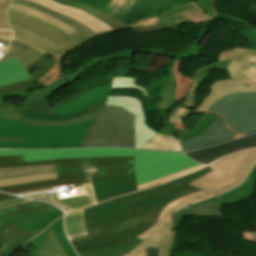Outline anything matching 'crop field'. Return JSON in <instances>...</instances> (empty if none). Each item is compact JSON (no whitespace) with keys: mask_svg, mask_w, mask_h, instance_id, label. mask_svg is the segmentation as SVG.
<instances>
[{"mask_svg":"<svg viewBox=\"0 0 256 256\" xmlns=\"http://www.w3.org/2000/svg\"><path fill=\"white\" fill-rule=\"evenodd\" d=\"M10 0H0V5L9 2Z\"/></svg>","mask_w":256,"mask_h":256,"instance_id":"obj_56","label":"crop field"},{"mask_svg":"<svg viewBox=\"0 0 256 256\" xmlns=\"http://www.w3.org/2000/svg\"><path fill=\"white\" fill-rule=\"evenodd\" d=\"M42 4L48 8L61 12L95 30L99 35L113 31L108 25L98 20L97 18L77 9L70 8L66 5H61L53 0H30Z\"/></svg>","mask_w":256,"mask_h":256,"instance_id":"obj_19","label":"crop field"},{"mask_svg":"<svg viewBox=\"0 0 256 256\" xmlns=\"http://www.w3.org/2000/svg\"><path fill=\"white\" fill-rule=\"evenodd\" d=\"M11 44H13V45H15V46H17V47H19V48L25 49V50H27V51H28L29 49H31V47H29V46H27V45H24V44H21V43H19V42L13 41V40H12Z\"/></svg>","mask_w":256,"mask_h":256,"instance_id":"obj_53","label":"crop field"},{"mask_svg":"<svg viewBox=\"0 0 256 256\" xmlns=\"http://www.w3.org/2000/svg\"><path fill=\"white\" fill-rule=\"evenodd\" d=\"M254 146H256V133L245 138L185 154L195 161L209 164L220 157Z\"/></svg>","mask_w":256,"mask_h":256,"instance_id":"obj_16","label":"crop field"},{"mask_svg":"<svg viewBox=\"0 0 256 256\" xmlns=\"http://www.w3.org/2000/svg\"><path fill=\"white\" fill-rule=\"evenodd\" d=\"M31 256H67L50 229L45 241Z\"/></svg>","mask_w":256,"mask_h":256,"instance_id":"obj_32","label":"crop field"},{"mask_svg":"<svg viewBox=\"0 0 256 256\" xmlns=\"http://www.w3.org/2000/svg\"><path fill=\"white\" fill-rule=\"evenodd\" d=\"M51 227L53 228V231L56 235V237L58 238L59 242L61 243L63 249L65 250V252L68 254V256H76L75 252L73 251V249L71 248L64 230H63V216L61 218H59L57 221H55Z\"/></svg>","mask_w":256,"mask_h":256,"instance_id":"obj_39","label":"crop field"},{"mask_svg":"<svg viewBox=\"0 0 256 256\" xmlns=\"http://www.w3.org/2000/svg\"><path fill=\"white\" fill-rule=\"evenodd\" d=\"M237 137L240 136L230 131L226 127L222 116L218 115L204 134L195 138L181 141V145L183 150H194Z\"/></svg>","mask_w":256,"mask_h":256,"instance_id":"obj_17","label":"crop field"},{"mask_svg":"<svg viewBox=\"0 0 256 256\" xmlns=\"http://www.w3.org/2000/svg\"><path fill=\"white\" fill-rule=\"evenodd\" d=\"M58 1L62 4H66L70 7L78 8L81 9L108 24L114 31L119 30V29H125V28H130L128 25L123 23L122 21L104 13L101 12L95 8H92L86 4L82 3H77V2H72V1H66V0H55Z\"/></svg>","mask_w":256,"mask_h":256,"instance_id":"obj_28","label":"crop field"},{"mask_svg":"<svg viewBox=\"0 0 256 256\" xmlns=\"http://www.w3.org/2000/svg\"><path fill=\"white\" fill-rule=\"evenodd\" d=\"M213 170L209 166L182 178L139 191V205L123 222L100 234L70 239L79 256L110 249L130 241L156 224L161 210L171 201L201 189L187 185Z\"/></svg>","mask_w":256,"mask_h":256,"instance_id":"obj_1","label":"crop field"},{"mask_svg":"<svg viewBox=\"0 0 256 256\" xmlns=\"http://www.w3.org/2000/svg\"><path fill=\"white\" fill-rule=\"evenodd\" d=\"M11 3H15V4H19L22 6H26L35 10H38L42 13L48 14L56 19H58L59 21L73 27L76 30H79L81 33L85 34L88 38H92L94 36H97L98 34L92 30H90L89 28H87L86 26L78 23L77 21L68 18L67 16L58 13L56 11H53L51 9L45 8L37 3H33V2H29V1H24V0H12Z\"/></svg>","mask_w":256,"mask_h":256,"instance_id":"obj_22","label":"crop field"},{"mask_svg":"<svg viewBox=\"0 0 256 256\" xmlns=\"http://www.w3.org/2000/svg\"><path fill=\"white\" fill-rule=\"evenodd\" d=\"M8 18L13 29L12 39L33 48L27 52L10 45L0 62L15 57L26 68L47 52L61 60L67 52L90 40L78 31L70 36L48 23L18 12L9 10Z\"/></svg>","mask_w":256,"mask_h":256,"instance_id":"obj_3","label":"crop field"},{"mask_svg":"<svg viewBox=\"0 0 256 256\" xmlns=\"http://www.w3.org/2000/svg\"><path fill=\"white\" fill-rule=\"evenodd\" d=\"M138 205L137 192L84 210L88 233L103 231L123 221Z\"/></svg>","mask_w":256,"mask_h":256,"instance_id":"obj_9","label":"crop field"},{"mask_svg":"<svg viewBox=\"0 0 256 256\" xmlns=\"http://www.w3.org/2000/svg\"><path fill=\"white\" fill-rule=\"evenodd\" d=\"M53 171H56L54 164L26 166L17 168H0V179L47 173Z\"/></svg>","mask_w":256,"mask_h":256,"instance_id":"obj_29","label":"crop field"},{"mask_svg":"<svg viewBox=\"0 0 256 256\" xmlns=\"http://www.w3.org/2000/svg\"><path fill=\"white\" fill-rule=\"evenodd\" d=\"M59 61L60 60H58L55 57L52 58L50 61L46 57L42 56L31 64L39 69L30 75L32 79L20 83L1 86L0 118L23 121V110L25 107L15 108L14 106L5 105V103L3 102L4 98L6 96L17 95L19 97H22L24 101L27 103L30 95L33 93L28 92L27 90L35 87L33 82L37 81L38 79L46 75Z\"/></svg>","mask_w":256,"mask_h":256,"instance_id":"obj_11","label":"crop field"},{"mask_svg":"<svg viewBox=\"0 0 256 256\" xmlns=\"http://www.w3.org/2000/svg\"><path fill=\"white\" fill-rule=\"evenodd\" d=\"M196 1H197L198 5L202 8V10H203L205 13H207L208 15L211 16V14H210V12H209V10H208V8H207V5H206L205 0H196Z\"/></svg>","mask_w":256,"mask_h":256,"instance_id":"obj_52","label":"crop field"},{"mask_svg":"<svg viewBox=\"0 0 256 256\" xmlns=\"http://www.w3.org/2000/svg\"><path fill=\"white\" fill-rule=\"evenodd\" d=\"M63 215L60 210L33 213L29 215L0 218V224H14L19 231L43 230L55 219Z\"/></svg>","mask_w":256,"mask_h":256,"instance_id":"obj_18","label":"crop field"},{"mask_svg":"<svg viewBox=\"0 0 256 256\" xmlns=\"http://www.w3.org/2000/svg\"><path fill=\"white\" fill-rule=\"evenodd\" d=\"M214 195L216 194L202 190L171 202L161 212L157 224L137 236L143 241L132 252L124 256H140L149 245L160 248L171 227L172 215L176 209Z\"/></svg>","mask_w":256,"mask_h":256,"instance_id":"obj_10","label":"crop field"},{"mask_svg":"<svg viewBox=\"0 0 256 256\" xmlns=\"http://www.w3.org/2000/svg\"><path fill=\"white\" fill-rule=\"evenodd\" d=\"M0 141H22V139L0 138Z\"/></svg>","mask_w":256,"mask_h":256,"instance_id":"obj_55","label":"crop field"},{"mask_svg":"<svg viewBox=\"0 0 256 256\" xmlns=\"http://www.w3.org/2000/svg\"><path fill=\"white\" fill-rule=\"evenodd\" d=\"M96 203L137 191L134 174L105 179H91Z\"/></svg>","mask_w":256,"mask_h":256,"instance_id":"obj_14","label":"crop field"},{"mask_svg":"<svg viewBox=\"0 0 256 256\" xmlns=\"http://www.w3.org/2000/svg\"><path fill=\"white\" fill-rule=\"evenodd\" d=\"M216 114L208 113L205 118L200 122V124L188 135L180 138L181 140H185L191 137L198 136L205 132V130L209 127L212 121L216 118Z\"/></svg>","mask_w":256,"mask_h":256,"instance_id":"obj_42","label":"crop field"},{"mask_svg":"<svg viewBox=\"0 0 256 256\" xmlns=\"http://www.w3.org/2000/svg\"><path fill=\"white\" fill-rule=\"evenodd\" d=\"M141 256H146V252H144Z\"/></svg>","mask_w":256,"mask_h":256,"instance_id":"obj_58","label":"crop field"},{"mask_svg":"<svg viewBox=\"0 0 256 256\" xmlns=\"http://www.w3.org/2000/svg\"><path fill=\"white\" fill-rule=\"evenodd\" d=\"M219 16H225V15H219ZM225 17H229L231 19H235V20H238L240 22H245V21H242L240 19H237V18H234V17H231V16H225ZM246 24L250 25V30L246 31L245 34H240V35H243L245 36L249 42L253 43L255 46L252 47L251 49L255 50L256 51V28L254 26H252L251 24L245 22Z\"/></svg>","mask_w":256,"mask_h":256,"instance_id":"obj_46","label":"crop field"},{"mask_svg":"<svg viewBox=\"0 0 256 256\" xmlns=\"http://www.w3.org/2000/svg\"><path fill=\"white\" fill-rule=\"evenodd\" d=\"M99 113L100 112L92 113V114L84 115V116H81V117H77V118H74V119H71V120L61 121V122H47V121H38V120L24 119V124H28V125L60 126V125L73 124V123H78V122H82V121H86V120L97 118Z\"/></svg>","mask_w":256,"mask_h":256,"instance_id":"obj_40","label":"crop field"},{"mask_svg":"<svg viewBox=\"0 0 256 256\" xmlns=\"http://www.w3.org/2000/svg\"><path fill=\"white\" fill-rule=\"evenodd\" d=\"M105 105L121 106L135 115V147L142 148L157 135L145 125V115L139 100L124 96H108Z\"/></svg>","mask_w":256,"mask_h":256,"instance_id":"obj_13","label":"crop field"},{"mask_svg":"<svg viewBox=\"0 0 256 256\" xmlns=\"http://www.w3.org/2000/svg\"><path fill=\"white\" fill-rule=\"evenodd\" d=\"M256 67V66H255Z\"/></svg>","mask_w":256,"mask_h":256,"instance_id":"obj_59","label":"crop field"},{"mask_svg":"<svg viewBox=\"0 0 256 256\" xmlns=\"http://www.w3.org/2000/svg\"><path fill=\"white\" fill-rule=\"evenodd\" d=\"M10 10H14V11H18V12H22V13H25V14H28L30 16H33L35 18H38L40 20H43L45 22H48L56 27H58L59 29L65 31L66 33L68 34H72L73 32H75L74 29H72L71 27L67 26V25H64L62 24L61 22L47 16V15H44V14H41L35 10H32V9H29V8H25V7H22V6H18V5H15V4H11L10 5Z\"/></svg>","mask_w":256,"mask_h":256,"instance_id":"obj_35","label":"crop field"},{"mask_svg":"<svg viewBox=\"0 0 256 256\" xmlns=\"http://www.w3.org/2000/svg\"><path fill=\"white\" fill-rule=\"evenodd\" d=\"M212 91L195 112L203 113L222 97L235 92H256V76L247 80L218 81L209 87Z\"/></svg>","mask_w":256,"mask_h":256,"instance_id":"obj_15","label":"crop field"},{"mask_svg":"<svg viewBox=\"0 0 256 256\" xmlns=\"http://www.w3.org/2000/svg\"><path fill=\"white\" fill-rule=\"evenodd\" d=\"M206 29H208V28L203 29V32H202V33L199 35V37L193 42V44H192L193 46H191L187 52L178 53V54H174V53H172V52H166L164 55H169V56L177 57V58H180V59L197 55V52H200V50H201V47H197V46H198L199 43L201 42L202 37H203V35H204Z\"/></svg>","mask_w":256,"mask_h":256,"instance_id":"obj_43","label":"crop field"},{"mask_svg":"<svg viewBox=\"0 0 256 256\" xmlns=\"http://www.w3.org/2000/svg\"><path fill=\"white\" fill-rule=\"evenodd\" d=\"M134 157H102L55 159L58 179L0 188L14 193L60 185L90 182V178H105L134 173Z\"/></svg>","mask_w":256,"mask_h":256,"instance_id":"obj_4","label":"crop field"},{"mask_svg":"<svg viewBox=\"0 0 256 256\" xmlns=\"http://www.w3.org/2000/svg\"><path fill=\"white\" fill-rule=\"evenodd\" d=\"M115 88H137L143 92L145 98L147 97L146 91L141 86H138L135 83V79L132 78H113L112 89Z\"/></svg>","mask_w":256,"mask_h":256,"instance_id":"obj_44","label":"crop field"},{"mask_svg":"<svg viewBox=\"0 0 256 256\" xmlns=\"http://www.w3.org/2000/svg\"><path fill=\"white\" fill-rule=\"evenodd\" d=\"M204 166L205 165L201 164L199 166H196L194 168L188 169L186 171H183V172H180V173H177V174H174V175L162 178V179H158V180H155V181H152V182H148V183L142 184V185L138 186L137 188L139 190V189L147 188V187L154 186V185H157V184H160V183H164V182L170 181V180H172L174 178H177V177H179L181 175H184V174H187L189 172L195 171V170H197L199 168H202Z\"/></svg>","mask_w":256,"mask_h":256,"instance_id":"obj_45","label":"crop field"},{"mask_svg":"<svg viewBox=\"0 0 256 256\" xmlns=\"http://www.w3.org/2000/svg\"><path fill=\"white\" fill-rule=\"evenodd\" d=\"M31 201H32V200H27V199H23V198H18V199H14V200H9V201L0 202V209H1V208L8 207V206H15V205H19V204L31 202Z\"/></svg>","mask_w":256,"mask_h":256,"instance_id":"obj_48","label":"crop field"},{"mask_svg":"<svg viewBox=\"0 0 256 256\" xmlns=\"http://www.w3.org/2000/svg\"><path fill=\"white\" fill-rule=\"evenodd\" d=\"M216 197L210 198L199 203L192 204L190 205L191 208H187L186 206L179 209L176 212V218L182 219L184 215L221 216L220 198L217 199Z\"/></svg>","mask_w":256,"mask_h":256,"instance_id":"obj_21","label":"crop field"},{"mask_svg":"<svg viewBox=\"0 0 256 256\" xmlns=\"http://www.w3.org/2000/svg\"><path fill=\"white\" fill-rule=\"evenodd\" d=\"M159 250L160 249H158V248L149 246V248L146 250L147 256H158Z\"/></svg>","mask_w":256,"mask_h":256,"instance_id":"obj_51","label":"crop field"},{"mask_svg":"<svg viewBox=\"0 0 256 256\" xmlns=\"http://www.w3.org/2000/svg\"><path fill=\"white\" fill-rule=\"evenodd\" d=\"M13 198H18V197L10 196L0 192V201L9 200Z\"/></svg>","mask_w":256,"mask_h":256,"instance_id":"obj_54","label":"crop field"},{"mask_svg":"<svg viewBox=\"0 0 256 256\" xmlns=\"http://www.w3.org/2000/svg\"><path fill=\"white\" fill-rule=\"evenodd\" d=\"M8 4L9 3L0 6V28L10 29L9 24L7 22V17H6V11L8 9Z\"/></svg>","mask_w":256,"mask_h":256,"instance_id":"obj_47","label":"crop field"},{"mask_svg":"<svg viewBox=\"0 0 256 256\" xmlns=\"http://www.w3.org/2000/svg\"><path fill=\"white\" fill-rule=\"evenodd\" d=\"M111 86H97L53 105L46 99L29 101L24 110V118L61 121L101 111Z\"/></svg>","mask_w":256,"mask_h":256,"instance_id":"obj_6","label":"crop field"},{"mask_svg":"<svg viewBox=\"0 0 256 256\" xmlns=\"http://www.w3.org/2000/svg\"><path fill=\"white\" fill-rule=\"evenodd\" d=\"M94 120L60 127L28 126L0 119V137L23 138V142H0V148H51L79 146Z\"/></svg>","mask_w":256,"mask_h":256,"instance_id":"obj_5","label":"crop field"},{"mask_svg":"<svg viewBox=\"0 0 256 256\" xmlns=\"http://www.w3.org/2000/svg\"><path fill=\"white\" fill-rule=\"evenodd\" d=\"M11 37V30L0 29V46L8 45Z\"/></svg>","mask_w":256,"mask_h":256,"instance_id":"obj_49","label":"crop field"},{"mask_svg":"<svg viewBox=\"0 0 256 256\" xmlns=\"http://www.w3.org/2000/svg\"><path fill=\"white\" fill-rule=\"evenodd\" d=\"M140 242H141V240L136 237L126 244L117 246V247L112 248L107 251L92 254L89 256H122V255L132 251Z\"/></svg>","mask_w":256,"mask_h":256,"instance_id":"obj_38","label":"crop field"},{"mask_svg":"<svg viewBox=\"0 0 256 256\" xmlns=\"http://www.w3.org/2000/svg\"><path fill=\"white\" fill-rule=\"evenodd\" d=\"M65 231L68 238L88 234L85 229L83 210L66 214Z\"/></svg>","mask_w":256,"mask_h":256,"instance_id":"obj_30","label":"crop field"},{"mask_svg":"<svg viewBox=\"0 0 256 256\" xmlns=\"http://www.w3.org/2000/svg\"><path fill=\"white\" fill-rule=\"evenodd\" d=\"M143 148L163 149L171 151L182 150L175 128L170 126L169 124L154 139L148 142Z\"/></svg>","mask_w":256,"mask_h":256,"instance_id":"obj_24","label":"crop field"},{"mask_svg":"<svg viewBox=\"0 0 256 256\" xmlns=\"http://www.w3.org/2000/svg\"><path fill=\"white\" fill-rule=\"evenodd\" d=\"M54 178H57L56 172L40 174V175H33V176H26V177H19V178L4 179V180H0V187L28 183V182L41 181V180H48V179H54Z\"/></svg>","mask_w":256,"mask_h":256,"instance_id":"obj_37","label":"crop field"},{"mask_svg":"<svg viewBox=\"0 0 256 256\" xmlns=\"http://www.w3.org/2000/svg\"><path fill=\"white\" fill-rule=\"evenodd\" d=\"M223 60H245L256 65V52L251 49L236 47L233 51L222 53L219 57V61Z\"/></svg>","mask_w":256,"mask_h":256,"instance_id":"obj_36","label":"crop field"},{"mask_svg":"<svg viewBox=\"0 0 256 256\" xmlns=\"http://www.w3.org/2000/svg\"><path fill=\"white\" fill-rule=\"evenodd\" d=\"M256 162V148L235 153L210 165L214 170L191 185L219 194L239 185Z\"/></svg>","mask_w":256,"mask_h":256,"instance_id":"obj_8","label":"crop field"},{"mask_svg":"<svg viewBox=\"0 0 256 256\" xmlns=\"http://www.w3.org/2000/svg\"><path fill=\"white\" fill-rule=\"evenodd\" d=\"M256 110V93L228 95L209 108V112L225 117L226 123Z\"/></svg>","mask_w":256,"mask_h":256,"instance_id":"obj_12","label":"crop field"},{"mask_svg":"<svg viewBox=\"0 0 256 256\" xmlns=\"http://www.w3.org/2000/svg\"><path fill=\"white\" fill-rule=\"evenodd\" d=\"M30 79L26 69L14 58L0 63V86Z\"/></svg>","mask_w":256,"mask_h":256,"instance_id":"obj_25","label":"crop field"},{"mask_svg":"<svg viewBox=\"0 0 256 256\" xmlns=\"http://www.w3.org/2000/svg\"><path fill=\"white\" fill-rule=\"evenodd\" d=\"M255 179L256 166L241 186L221 195L222 204L241 202L251 196L254 192Z\"/></svg>","mask_w":256,"mask_h":256,"instance_id":"obj_26","label":"crop field"},{"mask_svg":"<svg viewBox=\"0 0 256 256\" xmlns=\"http://www.w3.org/2000/svg\"><path fill=\"white\" fill-rule=\"evenodd\" d=\"M241 136L256 131V111L227 124Z\"/></svg>","mask_w":256,"mask_h":256,"instance_id":"obj_34","label":"crop field"},{"mask_svg":"<svg viewBox=\"0 0 256 256\" xmlns=\"http://www.w3.org/2000/svg\"><path fill=\"white\" fill-rule=\"evenodd\" d=\"M57 208L50 206L48 204L42 202H31L15 207H8L0 210V217L10 216V215H20V214H28L32 212L39 211H47V210H55Z\"/></svg>","mask_w":256,"mask_h":256,"instance_id":"obj_31","label":"crop field"},{"mask_svg":"<svg viewBox=\"0 0 256 256\" xmlns=\"http://www.w3.org/2000/svg\"><path fill=\"white\" fill-rule=\"evenodd\" d=\"M230 79H246L256 75V69L250 62L245 61H231L226 68Z\"/></svg>","mask_w":256,"mask_h":256,"instance_id":"obj_33","label":"crop field"},{"mask_svg":"<svg viewBox=\"0 0 256 256\" xmlns=\"http://www.w3.org/2000/svg\"><path fill=\"white\" fill-rule=\"evenodd\" d=\"M88 195L85 196H79V197H73L68 199H62V200H56L51 201L49 200L47 194H40V195H33V196H26L29 198H34L38 200H42L48 203H51L61 209H68L69 211H75L82 208H85L87 206L95 204L93 193L91 190H86Z\"/></svg>","mask_w":256,"mask_h":256,"instance_id":"obj_23","label":"crop field"},{"mask_svg":"<svg viewBox=\"0 0 256 256\" xmlns=\"http://www.w3.org/2000/svg\"><path fill=\"white\" fill-rule=\"evenodd\" d=\"M48 163H54V160L23 162L22 156H0V167H16Z\"/></svg>","mask_w":256,"mask_h":256,"instance_id":"obj_41","label":"crop field"},{"mask_svg":"<svg viewBox=\"0 0 256 256\" xmlns=\"http://www.w3.org/2000/svg\"><path fill=\"white\" fill-rule=\"evenodd\" d=\"M5 247H6V245L0 249V255L3 253Z\"/></svg>","mask_w":256,"mask_h":256,"instance_id":"obj_57","label":"crop field"},{"mask_svg":"<svg viewBox=\"0 0 256 256\" xmlns=\"http://www.w3.org/2000/svg\"><path fill=\"white\" fill-rule=\"evenodd\" d=\"M134 147V115L113 106H105L85 136L82 146Z\"/></svg>","mask_w":256,"mask_h":256,"instance_id":"obj_7","label":"crop field"},{"mask_svg":"<svg viewBox=\"0 0 256 256\" xmlns=\"http://www.w3.org/2000/svg\"><path fill=\"white\" fill-rule=\"evenodd\" d=\"M41 231L19 232L14 225H5L0 229V248L7 244L3 254L9 255L13 250L33 238Z\"/></svg>","mask_w":256,"mask_h":256,"instance_id":"obj_20","label":"crop field"},{"mask_svg":"<svg viewBox=\"0 0 256 256\" xmlns=\"http://www.w3.org/2000/svg\"><path fill=\"white\" fill-rule=\"evenodd\" d=\"M0 155H23L24 161L54 158L136 156L134 168L137 186L200 164L187 158L184 153L152 152L123 148L0 150Z\"/></svg>","mask_w":256,"mask_h":256,"instance_id":"obj_2","label":"crop field"},{"mask_svg":"<svg viewBox=\"0 0 256 256\" xmlns=\"http://www.w3.org/2000/svg\"><path fill=\"white\" fill-rule=\"evenodd\" d=\"M174 234H175V232L171 231L168 240L165 242V244L163 246L161 256H169L171 244L174 239Z\"/></svg>","mask_w":256,"mask_h":256,"instance_id":"obj_50","label":"crop field"},{"mask_svg":"<svg viewBox=\"0 0 256 256\" xmlns=\"http://www.w3.org/2000/svg\"><path fill=\"white\" fill-rule=\"evenodd\" d=\"M229 62L230 61L214 63L206 68H202V69L194 71V80H193L191 89H190L184 103L180 106L189 110L196 103V100L194 99V93H195L196 89L201 85V83L207 77L210 76L209 72L219 70V69L225 70V68L229 65Z\"/></svg>","mask_w":256,"mask_h":256,"instance_id":"obj_27","label":"crop field"}]
</instances>
